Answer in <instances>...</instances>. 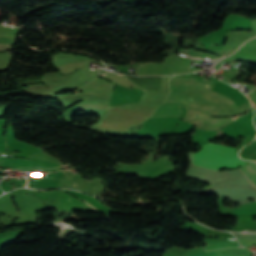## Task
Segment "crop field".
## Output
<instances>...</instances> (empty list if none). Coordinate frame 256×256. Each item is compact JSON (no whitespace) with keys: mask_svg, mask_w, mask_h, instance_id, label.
<instances>
[{"mask_svg":"<svg viewBox=\"0 0 256 256\" xmlns=\"http://www.w3.org/2000/svg\"><path fill=\"white\" fill-rule=\"evenodd\" d=\"M202 149L195 153L194 163L212 169L237 168L244 165L245 161L238 158L236 148L206 144Z\"/></svg>","mask_w":256,"mask_h":256,"instance_id":"crop-field-1","label":"crop field"},{"mask_svg":"<svg viewBox=\"0 0 256 256\" xmlns=\"http://www.w3.org/2000/svg\"><path fill=\"white\" fill-rule=\"evenodd\" d=\"M0 167H13L24 171L44 170L46 172L61 169V165L58 164L10 158H0Z\"/></svg>","mask_w":256,"mask_h":256,"instance_id":"crop-field-2","label":"crop field"},{"mask_svg":"<svg viewBox=\"0 0 256 256\" xmlns=\"http://www.w3.org/2000/svg\"><path fill=\"white\" fill-rule=\"evenodd\" d=\"M240 170L256 188V162H250L247 166L240 168Z\"/></svg>","mask_w":256,"mask_h":256,"instance_id":"crop-field-3","label":"crop field"},{"mask_svg":"<svg viewBox=\"0 0 256 256\" xmlns=\"http://www.w3.org/2000/svg\"><path fill=\"white\" fill-rule=\"evenodd\" d=\"M222 255L219 250L216 251H211V252H203V253H198V254H193V255H188V256H220Z\"/></svg>","mask_w":256,"mask_h":256,"instance_id":"crop-field-4","label":"crop field"}]
</instances>
